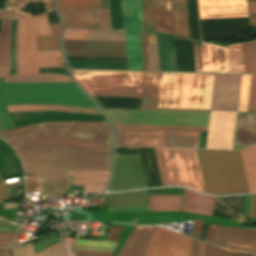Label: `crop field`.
Segmentation results:
<instances>
[{"mask_svg":"<svg viewBox=\"0 0 256 256\" xmlns=\"http://www.w3.org/2000/svg\"><path fill=\"white\" fill-rule=\"evenodd\" d=\"M6 141L21 158L26 175L42 182L72 183L68 170L111 169L112 130L107 122L42 123Z\"/></svg>","mask_w":256,"mask_h":256,"instance_id":"1","label":"crop field"},{"mask_svg":"<svg viewBox=\"0 0 256 256\" xmlns=\"http://www.w3.org/2000/svg\"><path fill=\"white\" fill-rule=\"evenodd\" d=\"M59 104L97 108L73 83H4L0 78V124L14 129L6 105Z\"/></svg>","mask_w":256,"mask_h":256,"instance_id":"2","label":"crop field"},{"mask_svg":"<svg viewBox=\"0 0 256 256\" xmlns=\"http://www.w3.org/2000/svg\"><path fill=\"white\" fill-rule=\"evenodd\" d=\"M114 128L201 130L198 148H205L210 112L103 109Z\"/></svg>","mask_w":256,"mask_h":256,"instance_id":"3","label":"crop field"},{"mask_svg":"<svg viewBox=\"0 0 256 256\" xmlns=\"http://www.w3.org/2000/svg\"><path fill=\"white\" fill-rule=\"evenodd\" d=\"M214 75L162 73L158 109L210 111Z\"/></svg>","mask_w":256,"mask_h":256,"instance_id":"4","label":"crop field"},{"mask_svg":"<svg viewBox=\"0 0 256 256\" xmlns=\"http://www.w3.org/2000/svg\"><path fill=\"white\" fill-rule=\"evenodd\" d=\"M196 152L207 193H249L239 151Z\"/></svg>","mask_w":256,"mask_h":256,"instance_id":"5","label":"crop field"},{"mask_svg":"<svg viewBox=\"0 0 256 256\" xmlns=\"http://www.w3.org/2000/svg\"><path fill=\"white\" fill-rule=\"evenodd\" d=\"M52 35L47 15L19 19L18 75L39 74L38 68L65 67L60 50L37 51L36 36Z\"/></svg>","mask_w":256,"mask_h":256,"instance_id":"6","label":"crop field"},{"mask_svg":"<svg viewBox=\"0 0 256 256\" xmlns=\"http://www.w3.org/2000/svg\"><path fill=\"white\" fill-rule=\"evenodd\" d=\"M71 72L90 96L141 97L144 72Z\"/></svg>","mask_w":256,"mask_h":256,"instance_id":"7","label":"crop field"},{"mask_svg":"<svg viewBox=\"0 0 256 256\" xmlns=\"http://www.w3.org/2000/svg\"><path fill=\"white\" fill-rule=\"evenodd\" d=\"M154 150L163 186L180 185L205 192L195 150Z\"/></svg>","mask_w":256,"mask_h":256,"instance_id":"8","label":"crop field"},{"mask_svg":"<svg viewBox=\"0 0 256 256\" xmlns=\"http://www.w3.org/2000/svg\"><path fill=\"white\" fill-rule=\"evenodd\" d=\"M116 146L197 148L200 131L115 129Z\"/></svg>","mask_w":256,"mask_h":256,"instance_id":"9","label":"crop field"},{"mask_svg":"<svg viewBox=\"0 0 256 256\" xmlns=\"http://www.w3.org/2000/svg\"><path fill=\"white\" fill-rule=\"evenodd\" d=\"M192 239L156 227L149 242L145 256H191ZM204 244H198V256H204Z\"/></svg>","mask_w":256,"mask_h":256,"instance_id":"10","label":"crop field"},{"mask_svg":"<svg viewBox=\"0 0 256 256\" xmlns=\"http://www.w3.org/2000/svg\"><path fill=\"white\" fill-rule=\"evenodd\" d=\"M129 70H143L139 30H143L139 0H121Z\"/></svg>","mask_w":256,"mask_h":256,"instance_id":"11","label":"crop field"},{"mask_svg":"<svg viewBox=\"0 0 256 256\" xmlns=\"http://www.w3.org/2000/svg\"><path fill=\"white\" fill-rule=\"evenodd\" d=\"M66 56L127 57L125 42L64 40Z\"/></svg>","mask_w":256,"mask_h":256,"instance_id":"12","label":"crop field"},{"mask_svg":"<svg viewBox=\"0 0 256 256\" xmlns=\"http://www.w3.org/2000/svg\"><path fill=\"white\" fill-rule=\"evenodd\" d=\"M236 112L211 111L206 148L232 149Z\"/></svg>","mask_w":256,"mask_h":256,"instance_id":"13","label":"crop field"},{"mask_svg":"<svg viewBox=\"0 0 256 256\" xmlns=\"http://www.w3.org/2000/svg\"><path fill=\"white\" fill-rule=\"evenodd\" d=\"M241 75H215L211 110L237 111Z\"/></svg>","mask_w":256,"mask_h":256,"instance_id":"14","label":"crop field"},{"mask_svg":"<svg viewBox=\"0 0 256 256\" xmlns=\"http://www.w3.org/2000/svg\"><path fill=\"white\" fill-rule=\"evenodd\" d=\"M194 44H200L194 41ZM196 72L229 73L227 49L201 42L194 45Z\"/></svg>","mask_w":256,"mask_h":256,"instance_id":"15","label":"crop field"},{"mask_svg":"<svg viewBox=\"0 0 256 256\" xmlns=\"http://www.w3.org/2000/svg\"><path fill=\"white\" fill-rule=\"evenodd\" d=\"M202 40L232 37L248 28V18L200 20Z\"/></svg>","mask_w":256,"mask_h":256,"instance_id":"16","label":"crop field"},{"mask_svg":"<svg viewBox=\"0 0 256 256\" xmlns=\"http://www.w3.org/2000/svg\"><path fill=\"white\" fill-rule=\"evenodd\" d=\"M58 9L64 23L111 24L109 9Z\"/></svg>","mask_w":256,"mask_h":256,"instance_id":"17","label":"crop field"},{"mask_svg":"<svg viewBox=\"0 0 256 256\" xmlns=\"http://www.w3.org/2000/svg\"><path fill=\"white\" fill-rule=\"evenodd\" d=\"M256 143V113L237 112L233 149Z\"/></svg>","mask_w":256,"mask_h":256,"instance_id":"18","label":"crop field"},{"mask_svg":"<svg viewBox=\"0 0 256 256\" xmlns=\"http://www.w3.org/2000/svg\"><path fill=\"white\" fill-rule=\"evenodd\" d=\"M200 16L247 14L246 0H198Z\"/></svg>","mask_w":256,"mask_h":256,"instance_id":"19","label":"crop field"},{"mask_svg":"<svg viewBox=\"0 0 256 256\" xmlns=\"http://www.w3.org/2000/svg\"><path fill=\"white\" fill-rule=\"evenodd\" d=\"M154 226H135L118 256H144Z\"/></svg>","mask_w":256,"mask_h":256,"instance_id":"20","label":"crop field"},{"mask_svg":"<svg viewBox=\"0 0 256 256\" xmlns=\"http://www.w3.org/2000/svg\"><path fill=\"white\" fill-rule=\"evenodd\" d=\"M64 39L125 41L124 30L65 28Z\"/></svg>","mask_w":256,"mask_h":256,"instance_id":"21","label":"crop field"},{"mask_svg":"<svg viewBox=\"0 0 256 256\" xmlns=\"http://www.w3.org/2000/svg\"><path fill=\"white\" fill-rule=\"evenodd\" d=\"M155 32L175 35L171 0H151Z\"/></svg>","mask_w":256,"mask_h":256,"instance_id":"22","label":"crop field"},{"mask_svg":"<svg viewBox=\"0 0 256 256\" xmlns=\"http://www.w3.org/2000/svg\"><path fill=\"white\" fill-rule=\"evenodd\" d=\"M215 197L184 190L182 210L212 216Z\"/></svg>","mask_w":256,"mask_h":256,"instance_id":"23","label":"crop field"},{"mask_svg":"<svg viewBox=\"0 0 256 256\" xmlns=\"http://www.w3.org/2000/svg\"><path fill=\"white\" fill-rule=\"evenodd\" d=\"M157 37L161 71H177L174 36L157 33Z\"/></svg>","mask_w":256,"mask_h":256,"instance_id":"24","label":"crop field"},{"mask_svg":"<svg viewBox=\"0 0 256 256\" xmlns=\"http://www.w3.org/2000/svg\"><path fill=\"white\" fill-rule=\"evenodd\" d=\"M147 187L162 186L153 148H138Z\"/></svg>","mask_w":256,"mask_h":256,"instance_id":"25","label":"crop field"},{"mask_svg":"<svg viewBox=\"0 0 256 256\" xmlns=\"http://www.w3.org/2000/svg\"><path fill=\"white\" fill-rule=\"evenodd\" d=\"M161 73H145L141 109H157Z\"/></svg>","mask_w":256,"mask_h":256,"instance_id":"26","label":"crop field"},{"mask_svg":"<svg viewBox=\"0 0 256 256\" xmlns=\"http://www.w3.org/2000/svg\"><path fill=\"white\" fill-rule=\"evenodd\" d=\"M28 3H45L46 12L54 9V0H6V10L0 11V20L15 19L30 16L20 11Z\"/></svg>","mask_w":256,"mask_h":256,"instance_id":"27","label":"crop field"},{"mask_svg":"<svg viewBox=\"0 0 256 256\" xmlns=\"http://www.w3.org/2000/svg\"><path fill=\"white\" fill-rule=\"evenodd\" d=\"M227 238L256 242V232L231 227L215 226L212 243L224 248Z\"/></svg>","mask_w":256,"mask_h":256,"instance_id":"28","label":"crop field"},{"mask_svg":"<svg viewBox=\"0 0 256 256\" xmlns=\"http://www.w3.org/2000/svg\"><path fill=\"white\" fill-rule=\"evenodd\" d=\"M178 71L195 72L192 40L175 36Z\"/></svg>","mask_w":256,"mask_h":256,"instance_id":"29","label":"crop field"},{"mask_svg":"<svg viewBox=\"0 0 256 256\" xmlns=\"http://www.w3.org/2000/svg\"><path fill=\"white\" fill-rule=\"evenodd\" d=\"M9 112H23V111H68L88 114L101 115L99 109L80 108L59 105H18L8 106Z\"/></svg>","mask_w":256,"mask_h":256,"instance_id":"30","label":"crop field"},{"mask_svg":"<svg viewBox=\"0 0 256 256\" xmlns=\"http://www.w3.org/2000/svg\"><path fill=\"white\" fill-rule=\"evenodd\" d=\"M250 193L256 192V145L240 151Z\"/></svg>","mask_w":256,"mask_h":256,"instance_id":"31","label":"crop field"},{"mask_svg":"<svg viewBox=\"0 0 256 256\" xmlns=\"http://www.w3.org/2000/svg\"><path fill=\"white\" fill-rule=\"evenodd\" d=\"M172 4L176 35L190 38L186 0H172Z\"/></svg>","mask_w":256,"mask_h":256,"instance_id":"32","label":"crop field"},{"mask_svg":"<svg viewBox=\"0 0 256 256\" xmlns=\"http://www.w3.org/2000/svg\"><path fill=\"white\" fill-rule=\"evenodd\" d=\"M101 108L140 109L141 98L92 97Z\"/></svg>","mask_w":256,"mask_h":256,"instance_id":"33","label":"crop field"},{"mask_svg":"<svg viewBox=\"0 0 256 256\" xmlns=\"http://www.w3.org/2000/svg\"><path fill=\"white\" fill-rule=\"evenodd\" d=\"M24 256H34L32 243L23 246ZM12 256H23L22 244L11 248ZM68 253L62 242L36 254L35 256H64Z\"/></svg>","mask_w":256,"mask_h":256,"instance_id":"34","label":"crop field"},{"mask_svg":"<svg viewBox=\"0 0 256 256\" xmlns=\"http://www.w3.org/2000/svg\"><path fill=\"white\" fill-rule=\"evenodd\" d=\"M110 172L69 171L73 184L106 185Z\"/></svg>","mask_w":256,"mask_h":256,"instance_id":"35","label":"crop field"},{"mask_svg":"<svg viewBox=\"0 0 256 256\" xmlns=\"http://www.w3.org/2000/svg\"><path fill=\"white\" fill-rule=\"evenodd\" d=\"M150 211H180L182 196H149Z\"/></svg>","mask_w":256,"mask_h":256,"instance_id":"36","label":"crop field"},{"mask_svg":"<svg viewBox=\"0 0 256 256\" xmlns=\"http://www.w3.org/2000/svg\"><path fill=\"white\" fill-rule=\"evenodd\" d=\"M10 20L2 21L0 31V77L8 76V38Z\"/></svg>","mask_w":256,"mask_h":256,"instance_id":"37","label":"crop field"},{"mask_svg":"<svg viewBox=\"0 0 256 256\" xmlns=\"http://www.w3.org/2000/svg\"><path fill=\"white\" fill-rule=\"evenodd\" d=\"M5 82H71L69 76L61 75H27L6 77Z\"/></svg>","mask_w":256,"mask_h":256,"instance_id":"38","label":"crop field"},{"mask_svg":"<svg viewBox=\"0 0 256 256\" xmlns=\"http://www.w3.org/2000/svg\"><path fill=\"white\" fill-rule=\"evenodd\" d=\"M54 36L37 37L38 50L60 49L59 39L61 35L60 24L50 25Z\"/></svg>","mask_w":256,"mask_h":256,"instance_id":"39","label":"crop field"},{"mask_svg":"<svg viewBox=\"0 0 256 256\" xmlns=\"http://www.w3.org/2000/svg\"><path fill=\"white\" fill-rule=\"evenodd\" d=\"M245 73H256V41L242 43Z\"/></svg>","mask_w":256,"mask_h":256,"instance_id":"40","label":"crop field"},{"mask_svg":"<svg viewBox=\"0 0 256 256\" xmlns=\"http://www.w3.org/2000/svg\"><path fill=\"white\" fill-rule=\"evenodd\" d=\"M58 7L109 8L108 0H58Z\"/></svg>","mask_w":256,"mask_h":256,"instance_id":"41","label":"crop field"},{"mask_svg":"<svg viewBox=\"0 0 256 256\" xmlns=\"http://www.w3.org/2000/svg\"><path fill=\"white\" fill-rule=\"evenodd\" d=\"M232 73H244L241 43L229 45Z\"/></svg>","mask_w":256,"mask_h":256,"instance_id":"42","label":"crop field"},{"mask_svg":"<svg viewBox=\"0 0 256 256\" xmlns=\"http://www.w3.org/2000/svg\"><path fill=\"white\" fill-rule=\"evenodd\" d=\"M191 38L199 39L197 0H187Z\"/></svg>","mask_w":256,"mask_h":256,"instance_id":"43","label":"crop field"},{"mask_svg":"<svg viewBox=\"0 0 256 256\" xmlns=\"http://www.w3.org/2000/svg\"><path fill=\"white\" fill-rule=\"evenodd\" d=\"M251 76L242 75L238 111H247Z\"/></svg>","mask_w":256,"mask_h":256,"instance_id":"44","label":"crop field"},{"mask_svg":"<svg viewBox=\"0 0 256 256\" xmlns=\"http://www.w3.org/2000/svg\"><path fill=\"white\" fill-rule=\"evenodd\" d=\"M144 30L154 32L150 0H140Z\"/></svg>","mask_w":256,"mask_h":256,"instance_id":"45","label":"crop field"},{"mask_svg":"<svg viewBox=\"0 0 256 256\" xmlns=\"http://www.w3.org/2000/svg\"><path fill=\"white\" fill-rule=\"evenodd\" d=\"M227 249L236 250V251H245V252H254L256 253V244L238 240L228 239L226 243Z\"/></svg>","mask_w":256,"mask_h":256,"instance_id":"46","label":"crop field"},{"mask_svg":"<svg viewBox=\"0 0 256 256\" xmlns=\"http://www.w3.org/2000/svg\"><path fill=\"white\" fill-rule=\"evenodd\" d=\"M149 70L160 71L157 45L147 46Z\"/></svg>","mask_w":256,"mask_h":256,"instance_id":"47","label":"crop field"},{"mask_svg":"<svg viewBox=\"0 0 256 256\" xmlns=\"http://www.w3.org/2000/svg\"><path fill=\"white\" fill-rule=\"evenodd\" d=\"M232 213H233V210L228 208L226 205H224L222 202H220L216 198L213 216L225 217V218L231 219Z\"/></svg>","mask_w":256,"mask_h":256,"instance_id":"48","label":"crop field"},{"mask_svg":"<svg viewBox=\"0 0 256 256\" xmlns=\"http://www.w3.org/2000/svg\"><path fill=\"white\" fill-rule=\"evenodd\" d=\"M57 242H58V240H57L56 234H52V235L34 243L35 253L55 244Z\"/></svg>","mask_w":256,"mask_h":256,"instance_id":"49","label":"crop field"},{"mask_svg":"<svg viewBox=\"0 0 256 256\" xmlns=\"http://www.w3.org/2000/svg\"><path fill=\"white\" fill-rule=\"evenodd\" d=\"M40 124L41 123L31 125V126H27V127H23V128L14 129V130H11V131H8V132H4V133L0 134V137L3 138L4 140H6V139L11 138L13 136H16V135H19L21 133H24V132L30 131L32 129H35Z\"/></svg>","mask_w":256,"mask_h":256,"instance_id":"50","label":"crop field"},{"mask_svg":"<svg viewBox=\"0 0 256 256\" xmlns=\"http://www.w3.org/2000/svg\"><path fill=\"white\" fill-rule=\"evenodd\" d=\"M248 111H256V76H252Z\"/></svg>","mask_w":256,"mask_h":256,"instance_id":"51","label":"crop field"},{"mask_svg":"<svg viewBox=\"0 0 256 256\" xmlns=\"http://www.w3.org/2000/svg\"><path fill=\"white\" fill-rule=\"evenodd\" d=\"M67 60L127 62V58L66 57Z\"/></svg>","mask_w":256,"mask_h":256,"instance_id":"52","label":"crop field"},{"mask_svg":"<svg viewBox=\"0 0 256 256\" xmlns=\"http://www.w3.org/2000/svg\"><path fill=\"white\" fill-rule=\"evenodd\" d=\"M19 234L16 233H2L0 234V248L14 244Z\"/></svg>","mask_w":256,"mask_h":256,"instance_id":"53","label":"crop field"},{"mask_svg":"<svg viewBox=\"0 0 256 256\" xmlns=\"http://www.w3.org/2000/svg\"><path fill=\"white\" fill-rule=\"evenodd\" d=\"M71 249H73V250H87V251H105V252H114L116 248H110V247H97V246H81V245H72Z\"/></svg>","mask_w":256,"mask_h":256,"instance_id":"54","label":"crop field"},{"mask_svg":"<svg viewBox=\"0 0 256 256\" xmlns=\"http://www.w3.org/2000/svg\"><path fill=\"white\" fill-rule=\"evenodd\" d=\"M118 242L86 241L76 239L74 244L116 247Z\"/></svg>","mask_w":256,"mask_h":256,"instance_id":"55","label":"crop field"},{"mask_svg":"<svg viewBox=\"0 0 256 256\" xmlns=\"http://www.w3.org/2000/svg\"><path fill=\"white\" fill-rule=\"evenodd\" d=\"M221 253H224L223 249L206 243L205 256H221Z\"/></svg>","mask_w":256,"mask_h":256,"instance_id":"56","label":"crop field"},{"mask_svg":"<svg viewBox=\"0 0 256 256\" xmlns=\"http://www.w3.org/2000/svg\"><path fill=\"white\" fill-rule=\"evenodd\" d=\"M220 200H222L224 203L229 205L231 208H233L235 211L238 212V204H239V196L236 197H218Z\"/></svg>","mask_w":256,"mask_h":256,"instance_id":"57","label":"crop field"},{"mask_svg":"<svg viewBox=\"0 0 256 256\" xmlns=\"http://www.w3.org/2000/svg\"><path fill=\"white\" fill-rule=\"evenodd\" d=\"M27 192L40 191V181L33 178H26Z\"/></svg>","mask_w":256,"mask_h":256,"instance_id":"58","label":"crop field"},{"mask_svg":"<svg viewBox=\"0 0 256 256\" xmlns=\"http://www.w3.org/2000/svg\"><path fill=\"white\" fill-rule=\"evenodd\" d=\"M58 184H42V194H57Z\"/></svg>","mask_w":256,"mask_h":256,"instance_id":"59","label":"crop field"},{"mask_svg":"<svg viewBox=\"0 0 256 256\" xmlns=\"http://www.w3.org/2000/svg\"><path fill=\"white\" fill-rule=\"evenodd\" d=\"M140 36H141L143 66H144V70H148L144 32H140Z\"/></svg>","mask_w":256,"mask_h":256,"instance_id":"60","label":"crop field"},{"mask_svg":"<svg viewBox=\"0 0 256 256\" xmlns=\"http://www.w3.org/2000/svg\"><path fill=\"white\" fill-rule=\"evenodd\" d=\"M116 154L139 155L137 148L116 147Z\"/></svg>","mask_w":256,"mask_h":256,"instance_id":"61","label":"crop field"},{"mask_svg":"<svg viewBox=\"0 0 256 256\" xmlns=\"http://www.w3.org/2000/svg\"><path fill=\"white\" fill-rule=\"evenodd\" d=\"M74 255H84V256H112L113 253L104 252H82V251H72Z\"/></svg>","mask_w":256,"mask_h":256,"instance_id":"62","label":"crop field"},{"mask_svg":"<svg viewBox=\"0 0 256 256\" xmlns=\"http://www.w3.org/2000/svg\"><path fill=\"white\" fill-rule=\"evenodd\" d=\"M65 27L111 28V25L64 24Z\"/></svg>","mask_w":256,"mask_h":256,"instance_id":"63","label":"crop field"},{"mask_svg":"<svg viewBox=\"0 0 256 256\" xmlns=\"http://www.w3.org/2000/svg\"><path fill=\"white\" fill-rule=\"evenodd\" d=\"M105 186H89L85 185V192L102 193Z\"/></svg>","mask_w":256,"mask_h":256,"instance_id":"64","label":"crop field"},{"mask_svg":"<svg viewBox=\"0 0 256 256\" xmlns=\"http://www.w3.org/2000/svg\"><path fill=\"white\" fill-rule=\"evenodd\" d=\"M202 221H203V219H196L194 236H193L194 238L199 239V235H200L201 227H202Z\"/></svg>","mask_w":256,"mask_h":256,"instance_id":"65","label":"crop field"},{"mask_svg":"<svg viewBox=\"0 0 256 256\" xmlns=\"http://www.w3.org/2000/svg\"><path fill=\"white\" fill-rule=\"evenodd\" d=\"M7 200V184H0V201Z\"/></svg>","mask_w":256,"mask_h":256,"instance_id":"66","label":"crop field"},{"mask_svg":"<svg viewBox=\"0 0 256 256\" xmlns=\"http://www.w3.org/2000/svg\"><path fill=\"white\" fill-rule=\"evenodd\" d=\"M48 21H49V24L60 23L55 11L48 12Z\"/></svg>","mask_w":256,"mask_h":256,"instance_id":"67","label":"crop field"},{"mask_svg":"<svg viewBox=\"0 0 256 256\" xmlns=\"http://www.w3.org/2000/svg\"><path fill=\"white\" fill-rule=\"evenodd\" d=\"M223 256H250L249 253H240V252H231L225 250V254Z\"/></svg>","mask_w":256,"mask_h":256,"instance_id":"68","label":"crop field"},{"mask_svg":"<svg viewBox=\"0 0 256 256\" xmlns=\"http://www.w3.org/2000/svg\"><path fill=\"white\" fill-rule=\"evenodd\" d=\"M236 17H248L247 15H236V16H212V17H200V19H212V18H236Z\"/></svg>","mask_w":256,"mask_h":256,"instance_id":"69","label":"crop field"},{"mask_svg":"<svg viewBox=\"0 0 256 256\" xmlns=\"http://www.w3.org/2000/svg\"><path fill=\"white\" fill-rule=\"evenodd\" d=\"M249 13H256V1H248Z\"/></svg>","mask_w":256,"mask_h":256,"instance_id":"70","label":"crop field"},{"mask_svg":"<svg viewBox=\"0 0 256 256\" xmlns=\"http://www.w3.org/2000/svg\"><path fill=\"white\" fill-rule=\"evenodd\" d=\"M213 232H214V226L213 225H210L209 227V231H208V235H207V242H210L212 241V236H213Z\"/></svg>","mask_w":256,"mask_h":256,"instance_id":"71","label":"crop field"},{"mask_svg":"<svg viewBox=\"0 0 256 256\" xmlns=\"http://www.w3.org/2000/svg\"><path fill=\"white\" fill-rule=\"evenodd\" d=\"M197 240L192 241V256H197Z\"/></svg>","mask_w":256,"mask_h":256,"instance_id":"72","label":"crop field"},{"mask_svg":"<svg viewBox=\"0 0 256 256\" xmlns=\"http://www.w3.org/2000/svg\"><path fill=\"white\" fill-rule=\"evenodd\" d=\"M207 228H208V225H204V224H203L202 233H201V237H200L201 240H204V241H205V239H206V234H207Z\"/></svg>","mask_w":256,"mask_h":256,"instance_id":"73","label":"crop field"},{"mask_svg":"<svg viewBox=\"0 0 256 256\" xmlns=\"http://www.w3.org/2000/svg\"><path fill=\"white\" fill-rule=\"evenodd\" d=\"M245 196H240L239 213L243 214Z\"/></svg>","mask_w":256,"mask_h":256,"instance_id":"74","label":"crop field"},{"mask_svg":"<svg viewBox=\"0 0 256 256\" xmlns=\"http://www.w3.org/2000/svg\"><path fill=\"white\" fill-rule=\"evenodd\" d=\"M254 205H255V195H252V205H251V210H250V215H249L250 219H252V217H253Z\"/></svg>","mask_w":256,"mask_h":256,"instance_id":"75","label":"crop field"},{"mask_svg":"<svg viewBox=\"0 0 256 256\" xmlns=\"http://www.w3.org/2000/svg\"><path fill=\"white\" fill-rule=\"evenodd\" d=\"M64 239L66 240V244H67V246H68L69 249H70V247H71V245H72L74 239H72V238H64Z\"/></svg>","mask_w":256,"mask_h":256,"instance_id":"76","label":"crop field"},{"mask_svg":"<svg viewBox=\"0 0 256 256\" xmlns=\"http://www.w3.org/2000/svg\"><path fill=\"white\" fill-rule=\"evenodd\" d=\"M0 256H10V251L9 248L0 252Z\"/></svg>","mask_w":256,"mask_h":256,"instance_id":"77","label":"crop field"},{"mask_svg":"<svg viewBox=\"0 0 256 256\" xmlns=\"http://www.w3.org/2000/svg\"><path fill=\"white\" fill-rule=\"evenodd\" d=\"M66 256H71L69 253Z\"/></svg>","mask_w":256,"mask_h":256,"instance_id":"78","label":"crop field"},{"mask_svg":"<svg viewBox=\"0 0 256 256\" xmlns=\"http://www.w3.org/2000/svg\"><path fill=\"white\" fill-rule=\"evenodd\" d=\"M252 223H254V222H252Z\"/></svg>","mask_w":256,"mask_h":256,"instance_id":"79","label":"crop field"}]
</instances>
